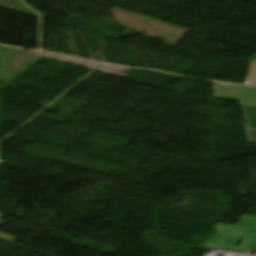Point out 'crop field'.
Here are the masks:
<instances>
[{
  "label": "crop field",
  "mask_w": 256,
  "mask_h": 256,
  "mask_svg": "<svg viewBox=\"0 0 256 256\" xmlns=\"http://www.w3.org/2000/svg\"><path fill=\"white\" fill-rule=\"evenodd\" d=\"M218 231L201 247L231 251L256 252V217L243 215L238 226L216 224ZM244 238L238 248V240Z\"/></svg>",
  "instance_id": "8a807250"
},
{
  "label": "crop field",
  "mask_w": 256,
  "mask_h": 256,
  "mask_svg": "<svg viewBox=\"0 0 256 256\" xmlns=\"http://www.w3.org/2000/svg\"><path fill=\"white\" fill-rule=\"evenodd\" d=\"M244 111L245 126L256 129V108L241 106Z\"/></svg>",
  "instance_id": "ac0d7876"
},
{
  "label": "crop field",
  "mask_w": 256,
  "mask_h": 256,
  "mask_svg": "<svg viewBox=\"0 0 256 256\" xmlns=\"http://www.w3.org/2000/svg\"><path fill=\"white\" fill-rule=\"evenodd\" d=\"M246 85H256V60L251 62Z\"/></svg>",
  "instance_id": "34b2d1b8"
},
{
  "label": "crop field",
  "mask_w": 256,
  "mask_h": 256,
  "mask_svg": "<svg viewBox=\"0 0 256 256\" xmlns=\"http://www.w3.org/2000/svg\"><path fill=\"white\" fill-rule=\"evenodd\" d=\"M246 130H247L249 143H255L256 144V130L247 129V128H246Z\"/></svg>",
  "instance_id": "412701ff"
},
{
  "label": "crop field",
  "mask_w": 256,
  "mask_h": 256,
  "mask_svg": "<svg viewBox=\"0 0 256 256\" xmlns=\"http://www.w3.org/2000/svg\"><path fill=\"white\" fill-rule=\"evenodd\" d=\"M2 222H3V221H0V224H1ZM0 238L6 239V240L11 241V242H13V241H15V240L18 239V238L9 236V235L4 234V233H1V232H0Z\"/></svg>",
  "instance_id": "f4fd0767"
}]
</instances>
